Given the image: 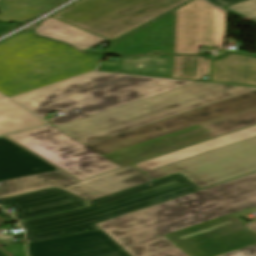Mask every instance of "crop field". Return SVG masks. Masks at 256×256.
Wrapping results in <instances>:
<instances>
[{
  "instance_id": "obj_14",
  "label": "crop field",
  "mask_w": 256,
  "mask_h": 256,
  "mask_svg": "<svg viewBox=\"0 0 256 256\" xmlns=\"http://www.w3.org/2000/svg\"><path fill=\"white\" fill-rule=\"evenodd\" d=\"M9 204L18 209L13 215L21 220L86 206L87 202L62 189L49 188L0 200V206Z\"/></svg>"
},
{
  "instance_id": "obj_13",
  "label": "crop field",
  "mask_w": 256,
  "mask_h": 256,
  "mask_svg": "<svg viewBox=\"0 0 256 256\" xmlns=\"http://www.w3.org/2000/svg\"><path fill=\"white\" fill-rule=\"evenodd\" d=\"M176 10L115 40L106 54H174Z\"/></svg>"
},
{
  "instance_id": "obj_7",
  "label": "crop field",
  "mask_w": 256,
  "mask_h": 256,
  "mask_svg": "<svg viewBox=\"0 0 256 256\" xmlns=\"http://www.w3.org/2000/svg\"><path fill=\"white\" fill-rule=\"evenodd\" d=\"M189 0H78L50 16L110 41Z\"/></svg>"
},
{
  "instance_id": "obj_26",
  "label": "crop field",
  "mask_w": 256,
  "mask_h": 256,
  "mask_svg": "<svg viewBox=\"0 0 256 256\" xmlns=\"http://www.w3.org/2000/svg\"><path fill=\"white\" fill-rule=\"evenodd\" d=\"M150 256H188L186 255L182 250H180L178 247L165 250Z\"/></svg>"
},
{
  "instance_id": "obj_1",
  "label": "crop field",
  "mask_w": 256,
  "mask_h": 256,
  "mask_svg": "<svg viewBox=\"0 0 256 256\" xmlns=\"http://www.w3.org/2000/svg\"><path fill=\"white\" fill-rule=\"evenodd\" d=\"M256 124V90L81 144L46 126L5 138L78 181Z\"/></svg>"
},
{
  "instance_id": "obj_15",
  "label": "crop field",
  "mask_w": 256,
  "mask_h": 256,
  "mask_svg": "<svg viewBox=\"0 0 256 256\" xmlns=\"http://www.w3.org/2000/svg\"><path fill=\"white\" fill-rule=\"evenodd\" d=\"M254 171H256V148L180 172V174L203 189Z\"/></svg>"
},
{
  "instance_id": "obj_8",
  "label": "crop field",
  "mask_w": 256,
  "mask_h": 256,
  "mask_svg": "<svg viewBox=\"0 0 256 256\" xmlns=\"http://www.w3.org/2000/svg\"><path fill=\"white\" fill-rule=\"evenodd\" d=\"M149 181L152 180L132 165L82 182L58 170L1 181L0 199L49 187H58L90 201Z\"/></svg>"
},
{
  "instance_id": "obj_6",
  "label": "crop field",
  "mask_w": 256,
  "mask_h": 256,
  "mask_svg": "<svg viewBox=\"0 0 256 256\" xmlns=\"http://www.w3.org/2000/svg\"><path fill=\"white\" fill-rule=\"evenodd\" d=\"M200 190L183 176L87 208L21 221L27 242L98 229L96 223Z\"/></svg>"
},
{
  "instance_id": "obj_18",
  "label": "crop field",
  "mask_w": 256,
  "mask_h": 256,
  "mask_svg": "<svg viewBox=\"0 0 256 256\" xmlns=\"http://www.w3.org/2000/svg\"><path fill=\"white\" fill-rule=\"evenodd\" d=\"M172 61L173 56L120 57L115 67L106 66L104 70L171 77Z\"/></svg>"
},
{
  "instance_id": "obj_11",
  "label": "crop field",
  "mask_w": 256,
  "mask_h": 256,
  "mask_svg": "<svg viewBox=\"0 0 256 256\" xmlns=\"http://www.w3.org/2000/svg\"><path fill=\"white\" fill-rule=\"evenodd\" d=\"M225 13L194 0L177 9L175 54H198L200 45L223 48Z\"/></svg>"
},
{
  "instance_id": "obj_29",
  "label": "crop field",
  "mask_w": 256,
  "mask_h": 256,
  "mask_svg": "<svg viewBox=\"0 0 256 256\" xmlns=\"http://www.w3.org/2000/svg\"><path fill=\"white\" fill-rule=\"evenodd\" d=\"M18 24H7V25H2L0 24V34L16 27Z\"/></svg>"
},
{
  "instance_id": "obj_24",
  "label": "crop field",
  "mask_w": 256,
  "mask_h": 256,
  "mask_svg": "<svg viewBox=\"0 0 256 256\" xmlns=\"http://www.w3.org/2000/svg\"><path fill=\"white\" fill-rule=\"evenodd\" d=\"M178 176H181V175L179 173H177V174H174V175H171V176H168V177H164V178H161V179H158V180H155V181H152V182L140 185V186H136V187H133V188H130V189H127V190H124V191L106 196V197H102V198L90 201V202H88V204L91 205V204H95V203L105 201V200H108V199H111V198H115V197H118V196H121V195H125V194H128V193L146 188L148 186H151V185H154V184H157V183H160V182H163V181H166V180L178 177Z\"/></svg>"
},
{
  "instance_id": "obj_3",
  "label": "crop field",
  "mask_w": 256,
  "mask_h": 256,
  "mask_svg": "<svg viewBox=\"0 0 256 256\" xmlns=\"http://www.w3.org/2000/svg\"><path fill=\"white\" fill-rule=\"evenodd\" d=\"M191 83L194 82L93 72L11 100L42 119L60 110L65 115L49 119L57 127Z\"/></svg>"
},
{
  "instance_id": "obj_21",
  "label": "crop field",
  "mask_w": 256,
  "mask_h": 256,
  "mask_svg": "<svg viewBox=\"0 0 256 256\" xmlns=\"http://www.w3.org/2000/svg\"><path fill=\"white\" fill-rule=\"evenodd\" d=\"M45 123L8 100L0 101V135Z\"/></svg>"
},
{
  "instance_id": "obj_28",
  "label": "crop field",
  "mask_w": 256,
  "mask_h": 256,
  "mask_svg": "<svg viewBox=\"0 0 256 256\" xmlns=\"http://www.w3.org/2000/svg\"><path fill=\"white\" fill-rule=\"evenodd\" d=\"M209 1L210 3L222 8V7H225L227 5H230V4H233V3H236V2H239V1H243V0H207Z\"/></svg>"
},
{
  "instance_id": "obj_32",
  "label": "crop field",
  "mask_w": 256,
  "mask_h": 256,
  "mask_svg": "<svg viewBox=\"0 0 256 256\" xmlns=\"http://www.w3.org/2000/svg\"><path fill=\"white\" fill-rule=\"evenodd\" d=\"M0 256H7L3 252L0 251Z\"/></svg>"
},
{
  "instance_id": "obj_10",
  "label": "crop field",
  "mask_w": 256,
  "mask_h": 256,
  "mask_svg": "<svg viewBox=\"0 0 256 256\" xmlns=\"http://www.w3.org/2000/svg\"><path fill=\"white\" fill-rule=\"evenodd\" d=\"M230 214L168 235L189 256H218L256 243V234Z\"/></svg>"
},
{
  "instance_id": "obj_19",
  "label": "crop field",
  "mask_w": 256,
  "mask_h": 256,
  "mask_svg": "<svg viewBox=\"0 0 256 256\" xmlns=\"http://www.w3.org/2000/svg\"><path fill=\"white\" fill-rule=\"evenodd\" d=\"M35 31L39 35L64 41L81 50L106 40L53 18L43 22Z\"/></svg>"
},
{
  "instance_id": "obj_31",
  "label": "crop field",
  "mask_w": 256,
  "mask_h": 256,
  "mask_svg": "<svg viewBox=\"0 0 256 256\" xmlns=\"http://www.w3.org/2000/svg\"><path fill=\"white\" fill-rule=\"evenodd\" d=\"M105 66L103 65H99L98 69L97 70H103Z\"/></svg>"
},
{
  "instance_id": "obj_22",
  "label": "crop field",
  "mask_w": 256,
  "mask_h": 256,
  "mask_svg": "<svg viewBox=\"0 0 256 256\" xmlns=\"http://www.w3.org/2000/svg\"><path fill=\"white\" fill-rule=\"evenodd\" d=\"M209 60L199 56H174L172 77L198 80L208 75Z\"/></svg>"
},
{
  "instance_id": "obj_16",
  "label": "crop field",
  "mask_w": 256,
  "mask_h": 256,
  "mask_svg": "<svg viewBox=\"0 0 256 256\" xmlns=\"http://www.w3.org/2000/svg\"><path fill=\"white\" fill-rule=\"evenodd\" d=\"M54 170L58 169L0 137V181Z\"/></svg>"
},
{
  "instance_id": "obj_2",
  "label": "crop field",
  "mask_w": 256,
  "mask_h": 256,
  "mask_svg": "<svg viewBox=\"0 0 256 256\" xmlns=\"http://www.w3.org/2000/svg\"><path fill=\"white\" fill-rule=\"evenodd\" d=\"M256 207V172L98 223L132 256L175 247L163 235Z\"/></svg>"
},
{
  "instance_id": "obj_17",
  "label": "crop field",
  "mask_w": 256,
  "mask_h": 256,
  "mask_svg": "<svg viewBox=\"0 0 256 256\" xmlns=\"http://www.w3.org/2000/svg\"><path fill=\"white\" fill-rule=\"evenodd\" d=\"M210 81L256 86V58L231 53L213 60Z\"/></svg>"
},
{
  "instance_id": "obj_23",
  "label": "crop field",
  "mask_w": 256,
  "mask_h": 256,
  "mask_svg": "<svg viewBox=\"0 0 256 256\" xmlns=\"http://www.w3.org/2000/svg\"><path fill=\"white\" fill-rule=\"evenodd\" d=\"M222 9L256 23V0H246Z\"/></svg>"
},
{
  "instance_id": "obj_20",
  "label": "crop field",
  "mask_w": 256,
  "mask_h": 256,
  "mask_svg": "<svg viewBox=\"0 0 256 256\" xmlns=\"http://www.w3.org/2000/svg\"><path fill=\"white\" fill-rule=\"evenodd\" d=\"M64 1L65 0H1L0 3L6 12L0 14V22H22L38 16V13H44Z\"/></svg>"
},
{
  "instance_id": "obj_25",
  "label": "crop field",
  "mask_w": 256,
  "mask_h": 256,
  "mask_svg": "<svg viewBox=\"0 0 256 256\" xmlns=\"http://www.w3.org/2000/svg\"><path fill=\"white\" fill-rule=\"evenodd\" d=\"M221 256H256V244Z\"/></svg>"
},
{
  "instance_id": "obj_9",
  "label": "crop field",
  "mask_w": 256,
  "mask_h": 256,
  "mask_svg": "<svg viewBox=\"0 0 256 256\" xmlns=\"http://www.w3.org/2000/svg\"><path fill=\"white\" fill-rule=\"evenodd\" d=\"M256 147V125L133 164L151 179Z\"/></svg>"
},
{
  "instance_id": "obj_30",
  "label": "crop field",
  "mask_w": 256,
  "mask_h": 256,
  "mask_svg": "<svg viewBox=\"0 0 256 256\" xmlns=\"http://www.w3.org/2000/svg\"><path fill=\"white\" fill-rule=\"evenodd\" d=\"M252 229L256 230V223L250 225Z\"/></svg>"
},
{
  "instance_id": "obj_4",
  "label": "crop field",
  "mask_w": 256,
  "mask_h": 256,
  "mask_svg": "<svg viewBox=\"0 0 256 256\" xmlns=\"http://www.w3.org/2000/svg\"><path fill=\"white\" fill-rule=\"evenodd\" d=\"M99 58L31 30L20 33L0 42V92L9 97L92 71Z\"/></svg>"
},
{
  "instance_id": "obj_12",
  "label": "crop field",
  "mask_w": 256,
  "mask_h": 256,
  "mask_svg": "<svg viewBox=\"0 0 256 256\" xmlns=\"http://www.w3.org/2000/svg\"><path fill=\"white\" fill-rule=\"evenodd\" d=\"M29 256H130L101 229L27 243Z\"/></svg>"
},
{
  "instance_id": "obj_27",
  "label": "crop field",
  "mask_w": 256,
  "mask_h": 256,
  "mask_svg": "<svg viewBox=\"0 0 256 256\" xmlns=\"http://www.w3.org/2000/svg\"><path fill=\"white\" fill-rule=\"evenodd\" d=\"M7 251L14 254L15 256H26L24 244L16 245L11 247H5Z\"/></svg>"
},
{
  "instance_id": "obj_5",
  "label": "crop field",
  "mask_w": 256,
  "mask_h": 256,
  "mask_svg": "<svg viewBox=\"0 0 256 256\" xmlns=\"http://www.w3.org/2000/svg\"><path fill=\"white\" fill-rule=\"evenodd\" d=\"M254 89L197 82L57 128L85 144Z\"/></svg>"
},
{
  "instance_id": "obj_33",
  "label": "crop field",
  "mask_w": 256,
  "mask_h": 256,
  "mask_svg": "<svg viewBox=\"0 0 256 256\" xmlns=\"http://www.w3.org/2000/svg\"><path fill=\"white\" fill-rule=\"evenodd\" d=\"M1 99H4V97L0 95V100H1Z\"/></svg>"
}]
</instances>
